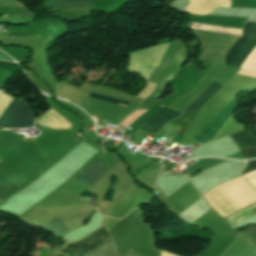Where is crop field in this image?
<instances>
[{"instance_id": "crop-field-14", "label": "crop field", "mask_w": 256, "mask_h": 256, "mask_svg": "<svg viewBox=\"0 0 256 256\" xmlns=\"http://www.w3.org/2000/svg\"><path fill=\"white\" fill-rule=\"evenodd\" d=\"M87 96L93 97V98H97V99H101V100H105V101H109V102H113V103H117V104H119V103L125 104V105L128 104V102H124V101H121V100H117V99H114V98L106 97V96L99 95V94L92 93V92H90Z\"/></svg>"}, {"instance_id": "crop-field-8", "label": "crop field", "mask_w": 256, "mask_h": 256, "mask_svg": "<svg viewBox=\"0 0 256 256\" xmlns=\"http://www.w3.org/2000/svg\"><path fill=\"white\" fill-rule=\"evenodd\" d=\"M231 138L234 140L240 150L248 147H256V134L251 129L231 135Z\"/></svg>"}, {"instance_id": "crop-field-3", "label": "crop field", "mask_w": 256, "mask_h": 256, "mask_svg": "<svg viewBox=\"0 0 256 256\" xmlns=\"http://www.w3.org/2000/svg\"><path fill=\"white\" fill-rule=\"evenodd\" d=\"M237 103L233 99L215 118H213L194 138L199 144L210 141L217 131L226 123L229 116L236 109Z\"/></svg>"}, {"instance_id": "crop-field-12", "label": "crop field", "mask_w": 256, "mask_h": 256, "mask_svg": "<svg viewBox=\"0 0 256 256\" xmlns=\"http://www.w3.org/2000/svg\"><path fill=\"white\" fill-rule=\"evenodd\" d=\"M17 188V186L7 182L0 176V199L4 200L11 192Z\"/></svg>"}, {"instance_id": "crop-field-15", "label": "crop field", "mask_w": 256, "mask_h": 256, "mask_svg": "<svg viewBox=\"0 0 256 256\" xmlns=\"http://www.w3.org/2000/svg\"><path fill=\"white\" fill-rule=\"evenodd\" d=\"M241 153L243 154V156L245 158L255 157L256 156V148L243 150V151H241Z\"/></svg>"}, {"instance_id": "crop-field-2", "label": "crop field", "mask_w": 256, "mask_h": 256, "mask_svg": "<svg viewBox=\"0 0 256 256\" xmlns=\"http://www.w3.org/2000/svg\"><path fill=\"white\" fill-rule=\"evenodd\" d=\"M33 120L29 114L27 105L21 100L13 99L5 113L0 118V127L3 128H25L32 127Z\"/></svg>"}, {"instance_id": "crop-field-6", "label": "crop field", "mask_w": 256, "mask_h": 256, "mask_svg": "<svg viewBox=\"0 0 256 256\" xmlns=\"http://www.w3.org/2000/svg\"><path fill=\"white\" fill-rule=\"evenodd\" d=\"M107 167L104 162L96 158L87 168L79 173L74 180L91 187L98 179L106 174Z\"/></svg>"}, {"instance_id": "crop-field-5", "label": "crop field", "mask_w": 256, "mask_h": 256, "mask_svg": "<svg viewBox=\"0 0 256 256\" xmlns=\"http://www.w3.org/2000/svg\"><path fill=\"white\" fill-rule=\"evenodd\" d=\"M109 240L111 239L106 229L102 226L93 234L87 236L85 239L76 243L69 250H67L66 253H69L74 256H78L90 250L91 248Z\"/></svg>"}, {"instance_id": "crop-field-10", "label": "crop field", "mask_w": 256, "mask_h": 256, "mask_svg": "<svg viewBox=\"0 0 256 256\" xmlns=\"http://www.w3.org/2000/svg\"><path fill=\"white\" fill-rule=\"evenodd\" d=\"M52 7H63V6H85L93 7L88 0H51Z\"/></svg>"}, {"instance_id": "crop-field-17", "label": "crop field", "mask_w": 256, "mask_h": 256, "mask_svg": "<svg viewBox=\"0 0 256 256\" xmlns=\"http://www.w3.org/2000/svg\"><path fill=\"white\" fill-rule=\"evenodd\" d=\"M252 236H254L256 238V231L251 233Z\"/></svg>"}, {"instance_id": "crop-field-16", "label": "crop field", "mask_w": 256, "mask_h": 256, "mask_svg": "<svg viewBox=\"0 0 256 256\" xmlns=\"http://www.w3.org/2000/svg\"><path fill=\"white\" fill-rule=\"evenodd\" d=\"M256 168V160H252V161H248V165L247 167L244 169L243 173L245 172H248L250 170H253ZM242 173V174H243ZM243 176V175H242ZM244 177V176H243ZM245 180H247L245 177H244Z\"/></svg>"}, {"instance_id": "crop-field-7", "label": "crop field", "mask_w": 256, "mask_h": 256, "mask_svg": "<svg viewBox=\"0 0 256 256\" xmlns=\"http://www.w3.org/2000/svg\"><path fill=\"white\" fill-rule=\"evenodd\" d=\"M179 115H181V113L164 109L142 122L139 128L157 133L165 125V123L177 118Z\"/></svg>"}, {"instance_id": "crop-field-4", "label": "crop field", "mask_w": 256, "mask_h": 256, "mask_svg": "<svg viewBox=\"0 0 256 256\" xmlns=\"http://www.w3.org/2000/svg\"><path fill=\"white\" fill-rule=\"evenodd\" d=\"M240 40V39H239ZM247 38L242 37L241 40L236 44V46L231 50V52L227 55L225 64L230 65L238 51L241 49L243 44ZM256 49V39L254 38H248L240 52L237 54L233 62L230 66H236L241 68V66L245 63V61L249 58V56L253 53V51Z\"/></svg>"}, {"instance_id": "crop-field-9", "label": "crop field", "mask_w": 256, "mask_h": 256, "mask_svg": "<svg viewBox=\"0 0 256 256\" xmlns=\"http://www.w3.org/2000/svg\"><path fill=\"white\" fill-rule=\"evenodd\" d=\"M223 85L213 82L199 97H197L185 110L188 113L196 108H200L215 92H217Z\"/></svg>"}, {"instance_id": "crop-field-13", "label": "crop field", "mask_w": 256, "mask_h": 256, "mask_svg": "<svg viewBox=\"0 0 256 256\" xmlns=\"http://www.w3.org/2000/svg\"><path fill=\"white\" fill-rule=\"evenodd\" d=\"M242 36L256 38V23L246 22L244 24Z\"/></svg>"}, {"instance_id": "crop-field-11", "label": "crop field", "mask_w": 256, "mask_h": 256, "mask_svg": "<svg viewBox=\"0 0 256 256\" xmlns=\"http://www.w3.org/2000/svg\"><path fill=\"white\" fill-rule=\"evenodd\" d=\"M223 161H215V160H209V159H202L199 160L198 164L193 165L191 167L186 168L188 173L191 175H193L194 173H196L199 170L211 167L213 165L219 164Z\"/></svg>"}, {"instance_id": "crop-field-1", "label": "crop field", "mask_w": 256, "mask_h": 256, "mask_svg": "<svg viewBox=\"0 0 256 256\" xmlns=\"http://www.w3.org/2000/svg\"><path fill=\"white\" fill-rule=\"evenodd\" d=\"M94 209H95L94 207H90V206L68 208V209H64L57 215L79 226L83 223L81 220L84 217H86ZM57 215L54 216L49 221H47L46 223H44L42 226H40V228L46 231L49 230L55 235V237H60L71 232L76 227H78Z\"/></svg>"}]
</instances>
